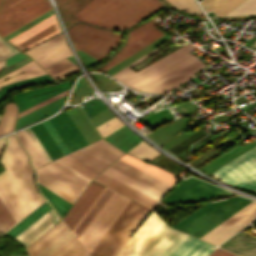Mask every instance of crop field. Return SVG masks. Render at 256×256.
Segmentation results:
<instances>
[{"mask_svg": "<svg viewBox=\"0 0 256 256\" xmlns=\"http://www.w3.org/2000/svg\"><path fill=\"white\" fill-rule=\"evenodd\" d=\"M3 66H4V65H3ZM3 66H0V69H1Z\"/></svg>", "mask_w": 256, "mask_h": 256, "instance_id": "obj_57", "label": "crop field"}, {"mask_svg": "<svg viewBox=\"0 0 256 256\" xmlns=\"http://www.w3.org/2000/svg\"><path fill=\"white\" fill-rule=\"evenodd\" d=\"M94 104V105H90V104ZM84 106L83 109L86 112V114L90 117H92L93 115H95L96 113L100 112L101 110H103L104 108H106L105 104L100 101V100H89L85 103H83Z\"/></svg>", "mask_w": 256, "mask_h": 256, "instance_id": "obj_44", "label": "crop field"}, {"mask_svg": "<svg viewBox=\"0 0 256 256\" xmlns=\"http://www.w3.org/2000/svg\"><path fill=\"white\" fill-rule=\"evenodd\" d=\"M25 56H26V55H24V54L18 53V54H16V55H14V56H12V57L6 59V65H5V66H7V65H9V64H11V63H13V62H15V61H17V60H19V59L25 57Z\"/></svg>", "mask_w": 256, "mask_h": 256, "instance_id": "obj_51", "label": "crop field"}, {"mask_svg": "<svg viewBox=\"0 0 256 256\" xmlns=\"http://www.w3.org/2000/svg\"><path fill=\"white\" fill-rule=\"evenodd\" d=\"M50 76L53 79H59V78H64L74 72L80 71L77 67L76 64L68 61V60H63L59 62L58 64L52 66L48 70H46Z\"/></svg>", "mask_w": 256, "mask_h": 256, "instance_id": "obj_32", "label": "crop field"}, {"mask_svg": "<svg viewBox=\"0 0 256 256\" xmlns=\"http://www.w3.org/2000/svg\"><path fill=\"white\" fill-rule=\"evenodd\" d=\"M150 162L163 167L173 173H178L180 170H182L183 168L179 167L178 165H176L174 162H172L171 160H169L168 158H166L164 155H159L158 157L154 158L153 160H151Z\"/></svg>", "mask_w": 256, "mask_h": 256, "instance_id": "obj_41", "label": "crop field"}, {"mask_svg": "<svg viewBox=\"0 0 256 256\" xmlns=\"http://www.w3.org/2000/svg\"><path fill=\"white\" fill-rule=\"evenodd\" d=\"M162 6L158 0H91L75 16L86 23L123 31Z\"/></svg>", "mask_w": 256, "mask_h": 256, "instance_id": "obj_2", "label": "crop field"}, {"mask_svg": "<svg viewBox=\"0 0 256 256\" xmlns=\"http://www.w3.org/2000/svg\"><path fill=\"white\" fill-rule=\"evenodd\" d=\"M103 188L104 186L93 181L88 189L86 188L87 190L84 192V194L82 193L83 195L64 218L71 230L90 207L96 197L100 194Z\"/></svg>", "mask_w": 256, "mask_h": 256, "instance_id": "obj_18", "label": "crop field"}, {"mask_svg": "<svg viewBox=\"0 0 256 256\" xmlns=\"http://www.w3.org/2000/svg\"><path fill=\"white\" fill-rule=\"evenodd\" d=\"M73 234L70 230L66 231L63 235H61L58 239H56L53 243L47 246L44 250H42L36 256H49L62 245H64L67 241L73 238Z\"/></svg>", "mask_w": 256, "mask_h": 256, "instance_id": "obj_37", "label": "crop field"}, {"mask_svg": "<svg viewBox=\"0 0 256 256\" xmlns=\"http://www.w3.org/2000/svg\"><path fill=\"white\" fill-rule=\"evenodd\" d=\"M194 46L188 43L137 72L130 69L157 52L156 48L112 77L137 91L159 94L206 66L188 53Z\"/></svg>", "mask_w": 256, "mask_h": 256, "instance_id": "obj_1", "label": "crop field"}, {"mask_svg": "<svg viewBox=\"0 0 256 256\" xmlns=\"http://www.w3.org/2000/svg\"><path fill=\"white\" fill-rule=\"evenodd\" d=\"M58 32L60 29L57 21L54 15H51L7 41L19 50L25 51Z\"/></svg>", "mask_w": 256, "mask_h": 256, "instance_id": "obj_13", "label": "crop field"}, {"mask_svg": "<svg viewBox=\"0 0 256 256\" xmlns=\"http://www.w3.org/2000/svg\"><path fill=\"white\" fill-rule=\"evenodd\" d=\"M149 210L131 200L90 254L92 256H114L128 238L131 230Z\"/></svg>", "mask_w": 256, "mask_h": 256, "instance_id": "obj_6", "label": "crop field"}, {"mask_svg": "<svg viewBox=\"0 0 256 256\" xmlns=\"http://www.w3.org/2000/svg\"><path fill=\"white\" fill-rule=\"evenodd\" d=\"M16 135L20 140V142L25 147V149L27 150V152L30 154L32 164L35 168L47 163L44 157L41 155V153L37 149V147L34 145L32 140L30 139V137L27 135L25 130L16 133Z\"/></svg>", "mask_w": 256, "mask_h": 256, "instance_id": "obj_30", "label": "crop field"}, {"mask_svg": "<svg viewBox=\"0 0 256 256\" xmlns=\"http://www.w3.org/2000/svg\"><path fill=\"white\" fill-rule=\"evenodd\" d=\"M4 143H5L4 138H1L0 139V152H1L2 148H3V146H4Z\"/></svg>", "mask_w": 256, "mask_h": 256, "instance_id": "obj_55", "label": "crop field"}, {"mask_svg": "<svg viewBox=\"0 0 256 256\" xmlns=\"http://www.w3.org/2000/svg\"><path fill=\"white\" fill-rule=\"evenodd\" d=\"M43 125L46 127V129L48 130V132L51 134V136L54 138V140L56 141V143L59 145V147L61 148V150L64 152V154L69 153V150L67 149V147L64 145V143L62 142V140L60 139V137L57 135V133L55 132V130L53 129V127L50 125V123L48 122V120L42 122ZM62 152V153H63Z\"/></svg>", "mask_w": 256, "mask_h": 256, "instance_id": "obj_45", "label": "crop field"}, {"mask_svg": "<svg viewBox=\"0 0 256 256\" xmlns=\"http://www.w3.org/2000/svg\"><path fill=\"white\" fill-rule=\"evenodd\" d=\"M59 220L60 218L51 209L14 239L22 242L26 247Z\"/></svg>", "mask_w": 256, "mask_h": 256, "instance_id": "obj_19", "label": "crop field"}, {"mask_svg": "<svg viewBox=\"0 0 256 256\" xmlns=\"http://www.w3.org/2000/svg\"><path fill=\"white\" fill-rule=\"evenodd\" d=\"M16 52H18V50L0 38V59L6 58Z\"/></svg>", "mask_w": 256, "mask_h": 256, "instance_id": "obj_47", "label": "crop field"}, {"mask_svg": "<svg viewBox=\"0 0 256 256\" xmlns=\"http://www.w3.org/2000/svg\"><path fill=\"white\" fill-rule=\"evenodd\" d=\"M67 96V95H66ZM66 96L48 104V105H45L21 118H19L17 120V124H16V129L22 127V126H25L27 124H30V123H33L35 121H38L50 114H52L53 112L57 111L63 104Z\"/></svg>", "mask_w": 256, "mask_h": 256, "instance_id": "obj_24", "label": "crop field"}, {"mask_svg": "<svg viewBox=\"0 0 256 256\" xmlns=\"http://www.w3.org/2000/svg\"><path fill=\"white\" fill-rule=\"evenodd\" d=\"M35 65H37V63H35V62L32 60V61L26 63L25 65L21 66L20 68L14 70L13 72H11V73L5 75L4 77L0 78V81L4 80V79H6V78H8V77H10V76H12V75H14V74H17V73H19V72H21V71H24V70H26V69H28V68H31V67H33V66H35Z\"/></svg>", "mask_w": 256, "mask_h": 256, "instance_id": "obj_48", "label": "crop field"}, {"mask_svg": "<svg viewBox=\"0 0 256 256\" xmlns=\"http://www.w3.org/2000/svg\"><path fill=\"white\" fill-rule=\"evenodd\" d=\"M103 174H105V175H107V176H109V177H111V178L157 200V201L160 198V196L162 195V194H160V193H158V192H156V191H154V190H152V189H150V188H148V187H146V186H144V185H142V184H140V183L110 169V168H108L106 171H104Z\"/></svg>", "mask_w": 256, "mask_h": 256, "instance_id": "obj_27", "label": "crop field"}, {"mask_svg": "<svg viewBox=\"0 0 256 256\" xmlns=\"http://www.w3.org/2000/svg\"><path fill=\"white\" fill-rule=\"evenodd\" d=\"M31 130L51 158V160L64 155L42 123L31 127Z\"/></svg>", "mask_w": 256, "mask_h": 256, "instance_id": "obj_25", "label": "crop field"}, {"mask_svg": "<svg viewBox=\"0 0 256 256\" xmlns=\"http://www.w3.org/2000/svg\"><path fill=\"white\" fill-rule=\"evenodd\" d=\"M95 181L149 207V208H152L153 205L156 203V201L104 176V175H99L97 178L94 179Z\"/></svg>", "mask_w": 256, "mask_h": 256, "instance_id": "obj_21", "label": "crop field"}, {"mask_svg": "<svg viewBox=\"0 0 256 256\" xmlns=\"http://www.w3.org/2000/svg\"><path fill=\"white\" fill-rule=\"evenodd\" d=\"M256 14V0H244L224 16L254 15Z\"/></svg>", "mask_w": 256, "mask_h": 256, "instance_id": "obj_36", "label": "crop field"}, {"mask_svg": "<svg viewBox=\"0 0 256 256\" xmlns=\"http://www.w3.org/2000/svg\"><path fill=\"white\" fill-rule=\"evenodd\" d=\"M68 229L69 228L63 221L57 223L54 227H52L49 231H47L45 234H43L40 238H38L35 242H33L30 246L26 248L29 256H35Z\"/></svg>", "mask_w": 256, "mask_h": 256, "instance_id": "obj_22", "label": "crop field"}, {"mask_svg": "<svg viewBox=\"0 0 256 256\" xmlns=\"http://www.w3.org/2000/svg\"><path fill=\"white\" fill-rule=\"evenodd\" d=\"M124 196L108 189L104 188L98 198L94 201L91 207L87 210L81 220L72 230L80 242L85 247L93 235L97 232L100 226L108 218L111 212L119 204ZM130 199L124 197L116 209L112 212L109 218L101 226L98 232L90 240L85 247L90 253L94 246L98 243L101 237L105 234L108 228L112 225L115 219L119 216L122 210L129 203Z\"/></svg>", "mask_w": 256, "mask_h": 256, "instance_id": "obj_4", "label": "crop field"}, {"mask_svg": "<svg viewBox=\"0 0 256 256\" xmlns=\"http://www.w3.org/2000/svg\"><path fill=\"white\" fill-rule=\"evenodd\" d=\"M236 187L256 193V147L211 174Z\"/></svg>", "mask_w": 256, "mask_h": 256, "instance_id": "obj_8", "label": "crop field"}, {"mask_svg": "<svg viewBox=\"0 0 256 256\" xmlns=\"http://www.w3.org/2000/svg\"><path fill=\"white\" fill-rule=\"evenodd\" d=\"M0 199L4 203L5 207L7 208V210L9 211V213L11 214L15 222L19 220L20 219L19 216L17 215L16 211L8 201L7 197L5 196L1 188H0ZM1 200H0V234L5 233L18 222V221L16 223L14 222V220L12 219V217L10 216V214L2 204Z\"/></svg>", "mask_w": 256, "mask_h": 256, "instance_id": "obj_26", "label": "crop field"}, {"mask_svg": "<svg viewBox=\"0 0 256 256\" xmlns=\"http://www.w3.org/2000/svg\"><path fill=\"white\" fill-rule=\"evenodd\" d=\"M66 29L78 21L73 16L90 0H55Z\"/></svg>", "mask_w": 256, "mask_h": 256, "instance_id": "obj_23", "label": "crop field"}, {"mask_svg": "<svg viewBox=\"0 0 256 256\" xmlns=\"http://www.w3.org/2000/svg\"><path fill=\"white\" fill-rule=\"evenodd\" d=\"M68 91H69V89H67V90H65V91H63V92H61V93H59V94H57V95H55V96L45 100V101H43V102H41V103H39V104H37V105H35L33 107H31V108L21 112V113H19L18 118L23 116V115H25V114H27V113H29V112H31V111H33V110H35V109H37V108H39V107H41V106H43V105H45V104H48V103H50V102H52V101H54V100H56V99H58V98H60V97H62L64 95H66L68 93Z\"/></svg>", "mask_w": 256, "mask_h": 256, "instance_id": "obj_46", "label": "crop field"}, {"mask_svg": "<svg viewBox=\"0 0 256 256\" xmlns=\"http://www.w3.org/2000/svg\"><path fill=\"white\" fill-rule=\"evenodd\" d=\"M87 253L74 237L51 256H89Z\"/></svg>", "mask_w": 256, "mask_h": 256, "instance_id": "obj_34", "label": "crop field"}, {"mask_svg": "<svg viewBox=\"0 0 256 256\" xmlns=\"http://www.w3.org/2000/svg\"><path fill=\"white\" fill-rule=\"evenodd\" d=\"M128 153L134 156L140 157L142 159H149V160L161 154L143 141L139 143L137 146H135L133 149H131Z\"/></svg>", "mask_w": 256, "mask_h": 256, "instance_id": "obj_35", "label": "crop field"}, {"mask_svg": "<svg viewBox=\"0 0 256 256\" xmlns=\"http://www.w3.org/2000/svg\"><path fill=\"white\" fill-rule=\"evenodd\" d=\"M59 159L61 161H63L64 163L68 164L69 166H71L72 168H74L75 170H77L78 172H80L81 174L85 175L86 177H88L91 180L97 176L67 155H65Z\"/></svg>", "mask_w": 256, "mask_h": 256, "instance_id": "obj_43", "label": "crop field"}, {"mask_svg": "<svg viewBox=\"0 0 256 256\" xmlns=\"http://www.w3.org/2000/svg\"><path fill=\"white\" fill-rule=\"evenodd\" d=\"M186 237L153 211L115 256H168Z\"/></svg>", "mask_w": 256, "mask_h": 256, "instance_id": "obj_3", "label": "crop field"}, {"mask_svg": "<svg viewBox=\"0 0 256 256\" xmlns=\"http://www.w3.org/2000/svg\"><path fill=\"white\" fill-rule=\"evenodd\" d=\"M36 172L39 184L72 204L91 181L58 159L37 168Z\"/></svg>", "mask_w": 256, "mask_h": 256, "instance_id": "obj_5", "label": "crop field"}, {"mask_svg": "<svg viewBox=\"0 0 256 256\" xmlns=\"http://www.w3.org/2000/svg\"><path fill=\"white\" fill-rule=\"evenodd\" d=\"M211 136H213V134H210V135L206 136L205 138L199 140L198 142L194 143V144L192 145V148H194L195 146L199 145L200 143H202V142L205 141L206 139L210 138Z\"/></svg>", "mask_w": 256, "mask_h": 256, "instance_id": "obj_54", "label": "crop field"}, {"mask_svg": "<svg viewBox=\"0 0 256 256\" xmlns=\"http://www.w3.org/2000/svg\"><path fill=\"white\" fill-rule=\"evenodd\" d=\"M49 122L70 152L88 144L66 112L49 119Z\"/></svg>", "mask_w": 256, "mask_h": 256, "instance_id": "obj_15", "label": "crop field"}, {"mask_svg": "<svg viewBox=\"0 0 256 256\" xmlns=\"http://www.w3.org/2000/svg\"><path fill=\"white\" fill-rule=\"evenodd\" d=\"M41 74H45V72L41 69V67L39 65L27 70L24 73H21L19 75H16L12 78H9L5 81L0 82V86H3L5 84L11 83L13 81H17V80H21V79H25V78H29V77H33V76H37V75H41Z\"/></svg>", "mask_w": 256, "mask_h": 256, "instance_id": "obj_40", "label": "crop field"}, {"mask_svg": "<svg viewBox=\"0 0 256 256\" xmlns=\"http://www.w3.org/2000/svg\"><path fill=\"white\" fill-rule=\"evenodd\" d=\"M26 132L31 137V139L33 140L35 145L38 147V149L40 150L42 155L45 157L47 162L51 161L50 158L48 157V155L46 154V152L44 151V149L42 148V146L40 145V143L38 142V140L36 139V137L34 136V134L32 133V131L30 130V128L26 129Z\"/></svg>", "mask_w": 256, "mask_h": 256, "instance_id": "obj_49", "label": "crop field"}, {"mask_svg": "<svg viewBox=\"0 0 256 256\" xmlns=\"http://www.w3.org/2000/svg\"><path fill=\"white\" fill-rule=\"evenodd\" d=\"M5 138L7 139V144L5 147L6 151L8 152V154L10 155V157L12 158V160L14 161L22 175L25 177V179L27 180V182L29 183V185L31 186V188L33 189L41 203L44 202L45 200L40 194L36 192L33 182L31 180L33 170L28 162L27 155L22 150L21 146L19 145L13 134L8 135Z\"/></svg>", "mask_w": 256, "mask_h": 256, "instance_id": "obj_17", "label": "crop field"}, {"mask_svg": "<svg viewBox=\"0 0 256 256\" xmlns=\"http://www.w3.org/2000/svg\"><path fill=\"white\" fill-rule=\"evenodd\" d=\"M51 208L48 206V204L45 202L40 207H38L35 211H33L31 214H29L26 218H24L21 222H19L17 225H15L12 229H10L5 234L15 237L20 232H22L24 229H26L29 225H31L34 221H36L39 217H41L43 214H45L48 210Z\"/></svg>", "mask_w": 256, "mask_h": 256, "instance_id": "obj_29", "label": "crop field"}, {"mask_svg": "<svg viewBox=\"0 0 256 256\" xmlns=\"http://www.w3.org/2000/svg\"><path fill=\"white\" fill-rule=\"evenodd\" d=\"M18 1L19 0H3L1 7H0V12Z\"/></svg>", "mask_w": 256, "mask_h": 256, "instance_id": "obj_52", "label": "crop field"}, {"mask_svg": "<svg viewBox=\"0 0 256 256\" xmlns=\"http://www.w3.org/2000/svg\"><path fill=\"white\" fill-rule=\"evenodd\" d=\"M243 0H203L200 3L206 11H213L218 16L224 15Z\"/></svg>", "mask_w": 256, "mask_h": 256, "instance_id": "obj_31", "label": "crop field"}, {"mask_svg": "<svg viewBox=\"0 0 256 256\" xmlns=\"http://www.w3.org/2000/svg\"><path fill=\"white\" fill-rule=\"evenodd\" d=\"M193 77H195L193 74L190 75V76H188L187 78H185L184 80L180 81L179 83H177L176 85H174V86H172L171 88L167 89L166 91H164V92L161 93V94L166 93V92L169 91L170 89H172V88H174V87H176V86H178V85H180V84L186 82L187 80H189V79H191V78H193Z\"/></svg>", "mask_w": 256, "mask_h": 256, "instance_id": "obj_53", "label": "crop field"}, {"mask_svg": "<svg viewBox=\"0 0 256 256\" xmlns=\"http://www.w3.org/2000/svg\"><path fill=\"white\" fill-rule=\"evenodd\" d=\"M38 183V182H37ZM40 192L45 196V198L49 201L55 211L63 217L67 210L70 208L72 204L68 203L67 201L63 200L59 196L55 195L54 193L50 192L49 190L45 189L41 185L38 184Z\"/></svg>", "mask_w": 256, "mask_h": 256, "instance_id": "obj_33", "label": "crop field"}, {"mask_svg": "<svg viewBox=\"0 0 256 256\" xmlns=\"http://www.w3.org/2000/svg\"><path fill=\"white\" fill-rule=\"evenodd\" d=\"M4 64V60L0 61V65H3Z\"/></svg>", "mask_w": 256, "mask_h": 256, "instance_id": "obj_56", "label": "crop field"}, {"mask_svg": "<svg viewBox=\"0 0 256 256\" xmlns=\"http://www.w3.org/2000/svg\"><path fill=\"white\" fill-rule=\"evenodd\" d=\"M110 168L164 194L171 185L121 161L117 160L115 163H113Z\"/></svg>", "mask_w": 256, "mask_h": 256, "instance_id": "obj_16", "label": "crop field"}, {"mask_svg": "<svg viewBox=\"0 0 256 256\" xmlns=\"http://www.w3.org/2000/svg\"><path fill=\"white\" fill-rule=\"evenodd\" d=\"M67 32L76 51L80 49L99 60L118 44L121 36L119 33L83 24H77Z\"/></svg>", "mask_w": 256, "mask_h": 256, "instance_id": "obj_7", "label": "crop field"}, {"mask_svg": "<svg viewBox=\"0 0 256 256\" xmlns=\"http://www.w3.org/2000/svg\"><path fill=\"white\" fill-rule=\"evenodd\" d=\"M0 2H1V0H0Z\"/></svg>", "mask_w": 256, "mask_h": 256, "instance_id": "obj_58", "label": "crop field"}, {"mask_svg": "<svg viewBox=\"0 0 256 256\" xmlns=\"http://www.w3.org/2000/svg\"><path fill=\"white\" fill-rule=\"evenodd\" d=\"M122 154L100 139L68 155L98 175Z\"/></svg>", "mask_w": 256, "mask_h": 256, "instance_id": "obj_10", "label": "crop field"}, {"mask_svg": "<svg viewBox=\"0 0 256 256\" xmlns=\"http://www.w3.org/2000/svg\"><path fill=\"white\" fill-rule=\"evenodd\" d=\"M155 25L157 24L151 20L144 25L136 28L135 30L129 32L127 41L124 46L107 64L99 69L103 71L109 69L113 65L117 64L118 62L135 53L147 44L164 35L154 27Z\"/></svg>", "mask_w": 256, "mask_h": 256, "instance_id": "obj_12", "label": "crop field"}, {"mask_svg": "<svg viewBox=\"0 0 256 256\" xmlns=\"http://www.w3.org/2000/svg\"><path fill=\"white\" fill-rule=\"evenodd\" d=\"M25 53L44 69L72 54L66 45L63 34L31 48Z\"/></svg>", "mask_w": 256, "mask_h": 256, "instance_id": "obj_14", "label": "crop field"}, {"mask_svg": "<svg viewBox=\"0 0 256 256\" xmlns=\"http://www.w3.org/2000/svg\"><path fill=\"white\" fill-rule=\"evenodd\" d=\"M124 125L121 121H119L116 117L105 122L104 124L100 125L97 127V130L101 134L102 138L105 137L106 135L110 134L117 128L121 127Z\"/></svg>", "mask_w": 256, "mask_h": 256, "instance_id": "obj_42", "label": "crop field"}, {"mask_svg": "<svg viewBox=\"0 0 256 256\" xmlns=\"http://www.w3.org/2000/svg\"><path fill=\"white\" fill-rule=\"evenodd\" d=\"M214 248L188 236L169 256H207Z\"/></svg>", "mask_w": 256, "mask_h": 256, "instance_id": "obj_20", "label": "crop field"}, {"mask_svg": "<svg viewBox=\"0 0 256 256\" xmlns=\"http://www.w3.org/2000/svg\"><path fill=\"white\" fill-rule=\"evenodd\" d=\"M178 9L198 16L203 15L194 0H166Z\"/></svg>", "mask_w": 256, "mask_h": 256, "instance_id": "obj_39", "label": "crop field"}, {"mask_svg": "<svg viewBox=\"0 0 256 256\" xmlns=\"http://www.w3.org/2000/svg\"><path fill=\"white\" fill-rule=\"evenodd\" d=\"M235 254L216 248L209 256H234Z\"/></svg>", "mask_w": 256, "mask_h": 256, "instance_id": "obj_50", "label": "crop field"}, {"mask_svg": "<svg viewBox=\"0 0 256 256\" xmlns=\"http://www.w3.org/2000/svg\"><path fill=\"white\" fill-rule=\"evenodd\" d=\"M255 219L256 202L253 201L205 235L203 234L204 236L200 239L218 245Z\"/></svg>", "mask_w": 256, "mask_h": 256, "instance_id": "obj_11", "label": "crop field"}, {"mask_svg": "<svg viewBox=\"0 0 256 256\" xmlns=\"http://www.w3.org/2000/svg\"><path fill=\"white\" fill-rule=\"evenodd\" d=\"M51 9L47 0H21L0 13V36H5Z\"/></svg>", "mask_w": 256, "mask_h": 256, "instance_id": "obj_9", "label": "crop field"}, {"mask_svg": "<svg viewBox=\"0 0 256 256\" xmlns=\"http://www.w3.org/2000/svg\"><path fill=\"white\" fill-rule=\"evenodd\" d=\"M120 159L170 183V184H174L176 182V179L172 178L173 175L161 170V169H158L152 165H149V164H146V163H143L141 162L140 160L132 157V156H128V155H124L122 156Z\"/></svg>", "mask_w": 256, "mask_h": 256, "instance_id": "obj_28", "label": "crop field"}, {"mask_svg": "<svg viewBox=\"0 0 256 256\" xmlns=\"http://www.w3.org/2000/svg\"><path fill=\"white\" fill-rule=\"evenodd\" d=\"M204 136H206V133L204 131L200 130V131L196 132L195 134L191 135L190 137L186 138L185 140L181 141L177 145L173 146L172 148L168 149L167 151L174 154V153L178 152L179 150L185 148L186 146L190 145L192 142H194ZM189 147L190 146L186 147L185 149L179 151L178 153H176L174 155L176 156V155L182 153L183 151L189 149ZM187 151H189V150H187ZM187 151H185V152H187ZM185 152H183V153H185ZM182 154H180V155H182ZM180 155H178V156H180Z\"/></svg>", "mask_w": 256, "mask_h": 256, "instance_id": "obj_38", "label": "crop field"}]
</instances>
